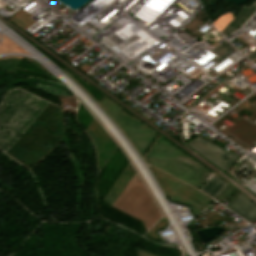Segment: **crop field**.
<instances>
[{"instance_id": "obj_1", "label": "crop field", "mask_w": 256, "mask_h": 256, "mask_svg": "<svg viewBox=\"0 0 256 256\" xmlns=\"http://www.w3.org/2000/svg\"><path fill=\"white\" fill-rule=\"evenodd\" d=\"M145 158L148 163L196 188L211 173L160 136Z\"/></svg>"}, {"instance_id": "obj_2", "label": "crop field", "mask_w": 256, "mask_h": 256, "mask_svg": "<svg viewBox=\"0 0 256 256\" xmlns=\"http://www.w3.org/2000/svg\"><path fill=\"white\" fill-rule=\"evenodd\" d=\"M111 206L141 220L146 230L161 217L136 172Z\"/></svg>"}, {"instance_id": "obj_3", "label": "crop field", "mask_w": 256, "mask_h": 256, "mask_svg": "<svg viewBox=\"0 0 256 256\" xmlns=\"http://www.w3.org/2000/svg\"><path fill=\"white\" fill-rule=\"evenodd\" d=\"M151 168L160 179L171 200L192 206L193 208L191 209L194 215L198 216L211 200L210 197L206 196L202 192L172 178L152 166Z\"/></svg>"}, {"instance_id": "obj_4", "label": "crop field", "mask_w": 256, "mask_h": 256, "mask_svg": "<svg viewBox=\"0 0 256 256\" xmlns=\"http://www.w3.org/2000/svg\"><path fill=\"white\" fill-rule=\"evenodd\" d=\"M98 102L109 111L110 115L120 124L141 154L144 155L157 134L137 120L125 115L120 111L119 107L108 99L101 96Z\"/></svg>"}, {"instance_id": "obj_5", "label": "crop field", "mask_w": 256, "mask_h": 256, "mask_svg": "<svg viewBox=\"0 0 256 256\" xmlns=\"http://www.w3.org/2000/svg\"><path fill=\"white\" fill-rule=\"evenodd\" d=\"M196 152L209 159L224 171L230 167L232 162L237 158L230 152L213 145L199 137L194 141L190 140L187 142ZM214 164V165H215Z\"/></svg>"}, {"instance_id": "obj_6", "label": "crop field", "mask_w": 256, "mask_h": 256, "mask_svg": "<svg viewBox=\"0 0 256 256\" xmlns=\"http://www.w3.org/2000/svg\"><path fill=\"white\" fill-rule=\"evenodd\" d=\"M227 208L238 213L249 222L256 219V205L253 204L251 201H249L241 193L235 198V200Z\"/></svg>"}, {"instance_id": "obj_7", "label": "crop field", "mask_w": 256, "mask_h": 256, "mask_svg": "<svg viewBox=\"0 0 256 256\" xmlns=\"http://www.w3.org/2000/svg\"><path fill=\"white\" fill-rule=\"evenodd\" d=\"M255 9L256 2H254L250 8L243 6L242 9L239 11L238 15L234 17V19L220 33L227 36L236 29H238L245 22V20L254 12Z\"/></svg>"}, {"instance_id": "obj_8", "label": "crop field", "mask_w": 256, "mask_h": 256, "mask_svg": "<svg viewBox=\"0 0 256 256\" xmlns=\"http://www.w3.org/2000/svg\"><path fill=\"white\" fill-rule=\"evenodd\" d=\"M224 181L219 179L217 176H213L208 183L201 189V191L207 193L211 197H215L222 188L226 185Z\"/></svg>"}, {"instance_id": "obj_9", "label": "crop field", "mask_w": 256, "mask_h": 256, "mask_svg": "<svg viewBox=\"0 0 256 256\" xmlns=\"http://www.w3.org/2000/svg\"><path fill=\"white\" fill-rule=\"evenodd\" d=\"M32 16L25 12L24 10H19L15 13L10 20L19 25L23 30L27 29L36 21L31 18Z\"/></svg>"}, {"instance_id": "obj_10", "label": "crop field", "mask_w": 256, "mask_h": 256, "mask_svg": "<svg viewBox=\"0 0 256 256\" xmlns=\"http://www.w3.org/2000/svg\"><path fill=\"white\" fill-rule=\"evenodd\" d=\"M236 50L230 45L228 44L226 41L223 42L222 44L218 45L217 47H215L212 52H214L217 56H219L220 58L218 59L216 56L211 60L214 63H218L220 62L222 59L226 58L227 56H229L230 54H232L233 52H235Z\"/></svg>"}, {"instance_id": "obj_11", "label": "crop field", "mask_w": 256, "mask_h": 256, "mask_svg": "<svg viewBox=\"0 0 256 256\" xmlns=\"http://www.w3.org/2000/svg\"><path fill=\"white\" fill-rule=\"evenodd\" d=\"M233 19L232 15L230 13H225L221 16H219L216 21L213 23V25L218 29V31H222L225 26Z\"/></svg>"}, {"instance_id": "obj_12", "label": "crop field", "mask_w": 256, "mask_h": 256, "mask_svg": "<svg viewBox=\"0 0 256 256\" xmlns=\"http://www.w3.org/2000/svg\"><path fill=\"white\" fill-rule=\"evenodd\" d=\"M234 190L235 189H233L231 186L227 184L224 187V189L214 199L220 201L224 196L228 198Z\"/></svg>"}, {"instance_id": "obj_13", "label": "crop field", "mask_w": 256, "mask_h": 256, "mask_svg": "<svg viewBox=\"0 0 256 256\" xmlns=\"http://www.w3.org/2000/svg\"><path fill=\"white\" fill-rule=\"evenodd\" d=\"M247 57H248L249 60L253 59L254 57H256V51L247 55Z\"/></svg>"}, {"instance_id": "obj_14", "label": "crop field", "mask_w": 256, "mask_h": 256, "mask_svg": "<svg viewBox=\"0 0 256 256\" xmlns=\"http://www.w3.org/2000/svg\"><path fill=\"white\" fill-rule=\"evenodd\" d=\"M239 194V192L228 202L227 205H225L226 207L233 201V199Z\"/></svg>"}]
</instances>
